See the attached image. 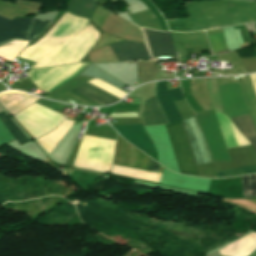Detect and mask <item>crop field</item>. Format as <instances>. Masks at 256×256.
<instances>
[{
	"instance_id": "obj_3",
	"label": "crop field",
	"mask_w": 256,
	"mask_h": 256,
	"mask_svg": "<svg viewBox=\"0 0 256 256\" xmlns=\"http://www.w3.org/2000/svg\"><path fill=\"white\" fill-rule=\"evenodd\" d=\"M86 63L67 64L53 68L34 69L27 75L40 89L51 91L77 75Z\"/></svg>"
},
{
	"instance_id": "obj_23",
	"label": "crop field",
	"mask_w": 256,
	"mask_h": 256,
	"mask_svg": "<svg viewBox=\"0 0 256 256\" xmlns=\"http://www.w3.org/2000/svg\"><path fill=\"white\" fill-rule=\"evenodd\" d=\"M249 173H256V166L218 171V172H215V175L216 177H227V176H236V175H243V174H249Z\"/></svg>"
},
{
	"instance_id": "obj_18",
	"label": "crop field",
	"mask_w": 256,
	"mask_h": 256,
	"mask_svg": "<svg viewBox=\"0 0 256 256\" xmlns=\"http://www.w3.org/2000/svg\"><path fill=\"white\" fill-rule=\"evenodd\" d=\"M27 45V42L12 41L0 46V57L12 61L15 56Z\"/></svg>"
},
{
	"instance_id": "obj_25",
	"label": "crop field",
	"mask_w": 256,
	"mask_h": 256,
	"mask_svg": "<svg viewBox=\"0 0 256 256\" xmlns=\"http://www.w3.org/2000/svg\"><path fill=\"white\" fill-rule=\"evenodd\" d=\"M39 98L40 97H36V96L31 95V96H29L28 98H26L25 100H23L22 102H20L19 104H17L16 106H14L13 108H11L8 111L13 115V114L17 113L18 111H20L21 109L28 106L29 104L33 103L34 101H36Z\"/></svg>"
},
{
	"instance_id": "obj_17",
	"label": "crop field",
	"mask_w": 256,
	"mask_h": 256,
	"mask_svg": "<svg viewBox=\"0 0 256 256\" xmlns=\"http://www.w3.org/2000/svg\"><path fill=\"white\" fill-rule=\"evenodd\" d=\"M96 5L94 0H70L68 10L72 13L90 18Z\"/></svg>"
},
{
	"instance_id": "obj_16",
	"label": "crop field",
	"mask_w": 256,
	"mask_h": 256,
	"mask_svg": "<svg viewBox=\"0 0 256 256\" xmlns=\"http://www.w3.org/2000/svg\"><path fill=\"white\" fill-rule=\"evenodd\" d=\"M235 127H237L244 136L251 142L256 152V132L254 130L250 116H242L230 119Z\"/></svg>"
},
{
	"instance_id": "obj_13",
	"label": "crop field",
	"mask_w": 256,
	"mask_h": 256,
	"mask_svg": "<svg viewBox=\"0 0 256 256\" xmlns=\"http://www.w3.org/2000/svg\"><path fill=\"white\" fill-rule=\"evenodd\" d=\"M256 250V234L252 233L219 250L222 256H249Z\"/></svg>"
},
{
	"instance_id": "obj_27",
	"label": "crop field",
	"mask_w": 256,
	"mask_h": 256,
	"mask_svg": "<svg viewBox=\"0 0 256 256\" xmlns=\"http://www.w3.org/2000/svg\"><path fill=\"white\" fill-rule=\"evenodd\" d=\"M0 138L6 144L15 140L1 122H0Z\"/></svg>"
},
{
	"instance_id": "obj_8",
	"label": "crop field",
	"mask_w": 256,
	"mask_h": 256,
	"mask_svg": "<svg viewBox=\"0 0 256 256\" xmlns=\"http://www.w3.org/2000/svg\"><path fill=\"white\" fill-rule=\"evenodd\" d=\"M123 139L143 152L156 151L142 125L112 126Z\"/></svg>"
},
{
	"instance_id": "obj_26",
	"label": "crop field",
	"mask_w": 256,
	"mask_h": 256,
	"mask_svg": "<svg viewBox=\"0 0 256 256\" xmlns=\"http://www.w3.org/2000/svg\"><path fill=\"white\" fill-rule=\"evenodd\" d=\"M167 25L171 31H189L185 20L170 21L167 22Z\"/></svg>"
},
{
	"instance_id": "obj_21",
	"label": "crop field",
	"mask_w": 256,
	"mask_h": 256,
	"mask_svg": "<svg viewBox=\"0 0 256 256\" xmlns=\"http://www.w3.org/2000/svg\"><path fill=\"white\" fill-rule=\"evenodd\" d=\"M244 197H256L255 174L241 177Z\"/></svg>"
},
{
	"instance_id": "obj_1",
	"label": "crop field",
	"mask_w": 256,
	"mask_h": 256,
	"mask_svg": "<svg viewBox=\"0 0 256 256\" xmlns=\"http://www.w3.org/2000/svg\"><path fill=\"white\" fill-rule=\"evenodd\" d=\"M116 137L85 132L74 165L109 172Z\"/></svg>"
},
{
	"instance_id": "obj_22",
	"label": "crop field",
	"mask_w": 256,
	"mask_h": 256,
	"mask_svg": "<svg viewBox=\"0 0 256 256\" xmlns=\"http://www.w3.org/2000/svg\"><path fill=\"white\" fill-rule=\"evenodd\" d=\"M207 36L213 53L227 50L222 33Z\"/></svg>"
},
{
	"instance_id": "obj_28",
	"label": "crop field",
	"mask_w": 256,
	"mask_h": 256,
	"mask_svg": "<svg viewBox=\"0 0 256 256\" xmlns=\"http://www.w3.org/2000/svg\"><path fill=\"white\" fill-rule=\"evenodd\" d=\"M249 76H250L252 85L254 87L255 93H256V75H249Z\"/></svg>"
},
{
	"instance_id": "obj_4",
	"label": "crop field",
	"mask_w": 256,
	"mask_h": 256,
	"mask_svg": "<svg viewBox=\"0 0 256 256\" xmlns=\"http://www.w3.org/2000/svg\"><path fill=\"white\" fill-rule=\"evenodd\" d=\"M165 127L181 174L199 176L182 122L166 125Z\"/></svg>"
},
{
	"instance_id": "obj_6",
	"label": "crop field",
	"mask_w": 256,
	"mask_h": 256,
	"mask_svg": "<svg viewBox=\"0 0 256 256\" xmlns=\"http://www.w3.org/2000/svg\"><path fill=\"white\" fill-rule=\"evenodd\" d=\"M189 144L196 162V165L211 163L207 145L205 143L204 137L201 130L199 129L195 117H190L182 121Z\"/></svg>"
},
{
	"instance_id": "obj_2",
	"label": "crop field",
	"mask_w": 256,
	"mask_h": 256,
	"mask_svg": "<svg viewBox=\"0 0 256 256\" xmlns=\"http://www.w3.org/2000/svg\"><path fill=\"white\" fill-rule=\"evenodd\" d=\"M34 138L55 128L64 117L36 103L13 115Z\"/></svg>"
},
{
	"instance_id": "obj_10",
	"label": "crop field",
	"mask_w": 256,
	"mask_h": 256,
	"mask_svg": "<svg viewBox=\"0 0 256 256\" xmlns=\"http://www.w3.org/2000/svg\"><path fill=\"white\" fill-rule=\"evenodd\" d=\"M110 48L113 50L118 62L150 59L146 46L141 43L125 41L110 45Z\"/></svg>"
},
{
	"instance_id": "obj_19",
	"label": "crop field",
	"mask_w": 256,
	"mask_h": 256,
	"mask_svg": "<svg viewBox=\"0 0 256 256\" xmlns=\"http://www.w3.org/2000/svg\"><path fill=\"white\" fill-rule=\"evenodd\" d=\"M29 95L18 91H7L0 94V102L8 110Z\"/></svg>"
},
{
	"instance_id": "obj_5",
	"label": "crop field",
	"mask_w": 256,
	"mask_h": 256,
	"mask_svg": "<svg viewBox=\"0 0 256 256\" xmlns=\"http://www.w3.org/2000/svg\"><path fill=\"white\" fill-rule=\"evenodd\" d=\"M142 156L147 170L158 171L159 164L143 153ZM142 156L139 150L129 145L118 135L113 163L146 170Z\"/></svg>"
},
{
	"instance_id": "obj_11",
	"label": "crop field",
	"mask_w": 256,
	"mask_h": 256,
	"mask_svg": "<svg viewBox=\"0 0 256 256\" xmlns=\"http://www.w3.org/2000/svg\"><path fill=\"white\" fill-rule=\"evenodd\" d=\"M145 30L153 57L175 56L173 52L170 32H156Z\"/></svg>"
},
{
	"instance_id": "obj_14",
	"label": "crop field",
	"mask_w": 256,
	"mask_h": 256,
	"mask_svg": "<svg viewBox=\"0 0 256 256\" xmlns=\"http://www.w3.org/2000/svg\"><path fill=\"white\" fill-rule=\"evenodd\" d=\"M71 91L96 101L102 105L112 104L120 100L88 83L81 84Z\"/></svg>"
},
{
	"instance_id": "obj_20",
	"label": "crop field",
	"mask_w": 256,
	"mask_h": 256,
	"mask_svg": "<svg viewBox=\"0 0 256 256\" xmlns=\"http://www.w3.org/2000/svg\"><path fill=\"white\" fill-rule=\"evenodd\" d=\"M0 120L20 145L29 141L26 138V136L19 130V128L9 119V117L3 111L0 112Z\"/></svg>"
},
{
	"instance_id": "obj_9",
	"label": "crop field",
	"mask_w": 256,
	"mask_h": 256,
	"mask_svg": "<svg viewBox=\"0 0 256 256\" xmlns=\"http://www.w3.org/2000/svg\"><path fill=\"white\" fill-rule=\"evenodd\" d=\"M157 98L169 123L181 119L173 103V101L184 99L180 88L168 90L165 82L158 83Z\"/></svg>"
},
{
	"instance_id": "obj_29",
	"label": "crop field",
	"mask_w": 256,
	"mask_h": 256,
	"mask_svg": "<svg viewBox=\"0 0 256 256\" xmlns=\"http://www.w3.org/2000/svg\"><path fill=\"white\" fill-rule=\"evenodd\" d=\"M4 145V142L0 139V146Z\"/></svg>"
},
{
	"instance_id": "obj_7",
	"label": "crop field",
	"mask_w": 256,
	"mask_h": 256,
	"mask_svg": "<svg viewBox=\"0 0 256 256\" xmlns=\"http://www.w3.org/2000/svg\"><path fill=\"white\" fill-rule=\"evenodd\" d=\"M32 18H15L11 21L0 16V43L10 39L27 40Z\"/></svg>"
},
{
	"instance_id": "obj_12",
	"label": "crop field",
	"mask_w": 256,
	"mask_h": 256,
	"mask_svg": "<svg viewBox=\"0 0 256 256\" xmlns=\"http://www.w3.org/2000/svg\"><path fill=\"white\" fill-rule=\"evenodd\" d=\"M216 116L227 148L249 145V142L231 125L226 115L216 113Z\"/></svg>"
},
{
	"instance_id": "obj_15",
	"label": "crop field",
	"mask_w": 256,
	"mask_h": 256,
	"mask_svg": "<svg viewBox=\"0 0 256 256\" xmlns=\"http://www.w3.org/2000/svg\"><path fill=\"white\" fill-rule=\"evenodd\" d=\"M142 116L146 125L167 123L155 97L146 100Z\"/></svg>"
},
{
	"instance_id": "obj_24",
	"label": "crop field",
	"mask_w": 256,
	"mask_h": 256,
	"mask_svg": "<svg viewBox=\"0 0 256 256\" xmlns=\"http://www.w3.org/2000/svg\"><path fill=\"white\" fill-rule=\"evenodd\" d=\"M50 22L34 19L33 26L29 35V43L40 33H42Z\"/></svg>"
}]
</instances>
